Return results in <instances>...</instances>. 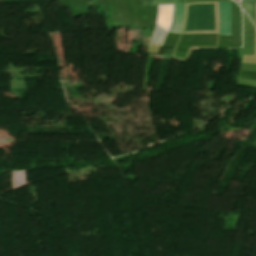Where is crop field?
Returning a JSON list of instances; mask_svg holds the SVG:
<instances>
[{"label":"crop field","instance_id":"obj_2","mask_svg":"<svg viewBox=\"0 0 256 256\" xmlns=\"http://www.w3.org/2000/svg\"><path fill=\"white\" fill-rule=\"evenodd\" d=\"M220 35H230V2H219Z\"/></svg>","mask_w":256,"mask_h":256},{"label":"crop field","instance_id":"obj_7","mask_svg":"<svg viewBox=\"0 0 256 256\" xmlns=\"http://www.w3.org/2000/svg\"><path fill=\"white\" fill-rule=\"evenodd\" d=\"M235 1H239V0H235Z\"/></svg>","mask_w":256,"mask_h":256},{"label":"crop field","instance_id":"obj_1","mask_svg":"<svg viewBox=\"0 0 256 256\" xmlns=\"http://www.w3.org/2000/svg\"><path fill=\"white\" fill-rule=\"evenodd\" d=\"M241 41V13L240 8L231 2V42L230 47L240 46Z\"/></svg>","mask_w":256,"mask_h":256},{"label":"crop field","instance_id":"obj_3","mask_svg":"<svg viewBox=\"0 0 256 256\" xmlns=\"http://www.w3.org/2000/svg\"><path fill=\"white\" fill-rule=\"evenodd\" d=\"M184 15V4L174 5L173 23L169 31L180 33Z\"/></svg>","mask_w":256,"mask_h":256},{"label":"crop field","instance_id":"obj_4","mask_svg":"<svg viewBox=\"0 0 256 256\" xmlns=\"http://www.w3.org/2000/svg\"><path fill=\"white\" fill-rule=\"evenodd\" d=\"M138 5H162L184 3V0H137Z\"/></svg>","mask_w":256,"mask_h":256},{"label":"crop field","instance_id":"obj_5","mask_svg":"<svg viewBox=\"0 0 256 256\" xmlns=\"http://www.w3.org/2000/svg\"><path fill=\"white\" fill-rule=\"evenodd\" d=\"M243 10L250 16L252 21H255L254 3H243Z\"/></svg>","mask_w":256,"mask_h":256},{"label":"crop field","instance_id":"obj_6","mask_svg":"<svg viewBox=\"0 0 256 256\" xmlns=\"http://www.w3.org/2000/svg\"><path fill=\"white\" fill-rule=\"evenodd\" d=\"M241 2H256V0H241Z\"/></svg>","mask_w":256,"mask_h":256}]
</instances>
